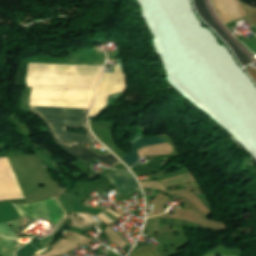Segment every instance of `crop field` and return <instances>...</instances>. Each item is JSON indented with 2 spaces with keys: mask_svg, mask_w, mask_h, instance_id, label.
<instances>
[{
  "mask_svg": "<svg viewBox=\"0 0 256 256\" xmlns=\"http://www.w3.org/2000/svg\"><path fill=\"white\" fill-rule=\"evenodd\" d=\"M193 3L196 7V10L200 17L207 23L209 24L221 37L224 41H226L232 51L235 53L238 61L242 64L245 65L249 63L250 61L241 53V51L230 41V39L224 34V32L216 25L215 21L210 17L204 0H193ZM247 66V65H246Z\"/></svg>",
  "mask_w": 256,
  "mask_h": 256,
  "instance_id": "crop-field-1",
  "label": "crop field"
},
{
  "mask_svg": "<svg viewBox=\"0 0 256 256\" xmlns=\"http://www.w3.org/2000/svg\"><path fill=\"white\" fill-rule=\"evenodd\" d=\"M247 69V68H246ZM256 70V69H255ZM254 69L250 68L247 69L248 73L252 76V78L255 80L256 82V71Z\"/></svg>",
  "mask_w": 256,
  "mask_h": 256,
  "instance_id": "crop-field-2",
  "label": "crop field"
}]
</instances>
